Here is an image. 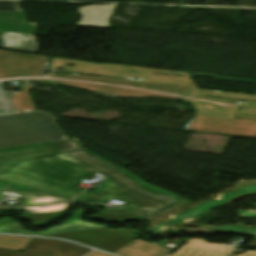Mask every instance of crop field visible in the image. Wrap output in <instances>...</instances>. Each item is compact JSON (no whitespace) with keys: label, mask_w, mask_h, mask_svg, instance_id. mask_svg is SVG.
<instances>
[{"label":"crop field","mask_w":256,"mask_h":256,"mask_svg":"<svg viewBox=\"0 0 256 256\" xmlns=\"http://www.w3.org/2000/svg\"><path fill=\"white\" fill-rule=\"evenodd\" d=\"M92 172L108 178L75 202L106 203L111 199L125 202L122 210L107 211L93 218L125 221L141 216L149 220L186 201L144 183L83 148L16 161L0 171V179L75 197L83 189L73 186Z\"/></svg>","instance_id":"1"},{"label":"crop field","mask_w":256,"mask_h":256,"mask_svg":"<svg viewBox=\"0 0 256 256\" xmlns=\"http://www.w3.org/2000/svg\"><path fill=\"white\" fill-rule=\"evenodd\" d=\"M45 80L57 81L60 84L91 86L87 91L111 96L116 91L144 96L158 94L185 100L192 96L189 90L176 88V82L146 78L142 81L121 78L95 77L59 72H50Z\"/></svg>","instance_id":"2"},{"label":"crop field","mask_w":256,"mask_h":256,"mask_svg":"<svg viewBox=\"0 0 256 256\" xmlns=\"http://www.w3.org/2000/svg\"><path fill=\"white\" fill-rule=\"evenodd\" d=\"M54 121L45 112L0 116V148L67 138Z\"/></svg>","instance_id":"3"},{"label":"crop field","mask_w":256,"mask_h":256,"mask_svg":"<svg viewBox=\"0 0 256 256\" xmlns=\"http://www.w3.org/2000/svg\"><path fill=\"white\" fill-rule=\"evenodd\" d=\"M67 64L76 65L75 67H69ZM57 68H63L58 70ZM49 71H61L97 76H109V77H121V78H132L142 80L146 77L170 80L179 82V88L187 89L184 74L181 71H168V70H157L139 68L127 65L118 64H97L83 62L79 60H70L63 58L51 57L48 65Z\"/></svg>","instance_id":"4"},{"label":"crop field","mask_w":256,"mask_h":256,"mask_svg":"<svg viewBox=\"0 0 256 256\" xmlns=\"http://www.w3.org/2000/svg\"><path fill=\"white\" fill-rule=\"evenodd\" d=\"M47 61L45 56L9 52L7 78H0V114L14 113L4 82L24 81V86H30V82L44 80Z\"/></svg>","instance_id":"5"},{"label":"crop field","mask_w":256,"mask_h":256,"mask_svg":"<svg viewBox=\"0 0 256 256\" xmlns=\"http://www.w3.org/2000/svg\"><path fill=\"white\" fill-rule=\"evenodd\" d=\"M81 145L79 140L75 138L1 149L0 170L19 159L80 148Z\"/></svg>","instance_id":"6"},{"label":"crop field","mask_w":256,"mask_h":256,"mask_svg":"<svg viewBox=\"0 0 256 256\" xmlns=\"http://www.w3.org/2000/svg\"><path fill=\"white\" fill-rule=\"evenodd\" d=\"M87 211L78 210L72 214V217L69 221L64 222L63 224L44 230L42 232H30L23 227L21 223L14 221L10 217H4L0 219V232L1 233H11V234H22V235H32V236H41L49 235L56 233L72 232L79 230L95 229L106 227L104 225H94L83 221Z\"/></svg>","instance_id":"7"},{"label":"crop field","mask_w":256,"mask_h":256,"mask_svg":"<svg viewBox=\"0 0 256 256\" xmlns=\"http://www.w3.org/2000/svg\"><path fill=\"white\" fill-rule=\"evenodd\" d=\"M192 104L197 114L235 118L240 101L193 95L185 100Z\"/></svg>","instance_id":"8"},{"label":"crop field","mask_w":256,"mask_h":256,"mask_svg":"<svg viewBox=\"0 0 256 256\" xmlns=\"http://www.w3.org/2000/svg\"><path fill=\"white\" fill-rule=\"evenodd\" d=\"M191 122L206 124V127L196 126L194 131L197 132L243 136V134L248 130L239 128L242 122L240 119L195 114Z\"/></svg>","instance_id":"9"},{"label":"crop field","mask_w":256,"mask_h":256,"mask_svg":"<svg viewBox=\"0 0 256 256\" xmlns=\"http://www.w3.org/2000/svg\"><path fill=\"white\" fill-rule=\"evenodd\" d=\"M4 189L26 194L23 200L21 201L22 203H24L22 206L60 203L67 202L73 199L72 197L58 195L34 188L24 187L0 180V193H2ZM5 197L7 196L0 194V201L3 200Z\"/></svg>","instance_id":"10"},{"label":"crop field","mask_w":256,"mask_h":256,"mask_svg":"<svg viewBox=\"0 0 256 256\" xmlns=\"http://www.w3.org/2000/svg\"><path fill=\"white\" fill-rule=\"evenodd\" d=\"M227 245L209 244L202 239H190L185 246L179 248L172 256H227L234 248L227 247Z\"/></svg>","instance_id":"11"},{"label":"crop field","mask_w":256,"mask_h":256,"mask_svg":"<svg viewBox=\"0 0 256 256\" xmlns=\"http://www.w3.org/2000/svg\"><path fill=\"white\" fill-rule=\"evenodd\" d=\"M117 5H92L79 8L82 14L77 26H93L100 28H110L109 19Z\"/></svg>","instance_id":"12"},{"label":"crop field","mask_w":256,"mask_h":256,"mask_svg":"<svg viewBox=\"0 0 256 256\" xmlns=\"http://www.w3.org/2000/svg\"><path fill=\"white\" fill-rule=\"evenodd\" d=\"M68 205L69 204H59L53 206L21 208L14 210H25L26 212L21 217L31 220L32 226H38L68 213V211H64Z\"/></svg>","instance_id":"13"},{"label":"crop field","mask_w":256,"mask_h":256,"mask_svg":"<svg viewBox=\"0 0 256 256\" xmlns=\"http://www.w3.org/2000/svg\"><path fill=\"white\" fill-rule=\"evenodd\" d=\"M36 26L27 23L23 12H0V31L33 35Z\"/></svg>","instance_id":"14"},{"label":"crop field","mask_w":256,"mask_h":256,"mask_svg":"<svg viewBox=\"0 0 256 256\" xmlns=\"http://www.w3.org/2000/svg\"><path fill=\"white\" fill-rule=\"evenodd\" d=\"M0 47L35 53L38 49L34 36L0 32Z\"/></svg>","instance_id":"15"},{"label":"crop field","mask_w":256,"mask_h":256,"mask_svg":"<svg viewBox=\"0 0 256 256\" xmlns=\"http://www.w3.org/2000/svg\"><path fill=\"white\" fill-rule=\"evenodd\" d=\"M169 250L138 239L115 254L122 256H162Z\"/></svg>","instance_id":"16"},{"label":"crop field","mask_w":256,"mask_h":256,"mask_svg":"<svg viewBox=\"0 0 256 256\" xmlns=\"http://www.w3.org/2000/svg\"><path fill=\"white\" fill-rule=\"evenodd\" d=\"M31 88L33 87H24V91L10 92L17 112L36 110L28 92Z\"/></svg>","instance_id":"17"},{"label":"crop field","mask_w":256,"mask_h":256,"mask_svg":"<svg viewBox=\"0 0 256 256\" xmlns=\"http://www.w3.org/2000/svg\"><path fill=\"white\" fill-rule=\"evenodd\" d=\"M189 90L193 94H197V95H206V96H214V97H222V98H228V99H237V100H245L249 102H256L255 95H246V94H237V93H228V92L192 89V88H189Z\"/></svg>","instance_id":"18"},{"label":"crop field","mask_w":256,"mask_h":256,"mask_svg":"<svg viewBox=\"0 0 256 256\" xmlns=\"http://www.w3.org/2000/svg\"><path fill=\"white\" fill-rule=\"evenodd\" d=\"M0 11H22L17 1H0Z\"/></svg>","instance_id":"19"},{"label":"crop field","mask_w":256,"mask_h":256,"mask_svg":"<svg viewBox=\"0 0 256 256\" xmlns=\"http://www.w3.org/2000/svg\"><path fill=\"white\" fill-rule=\"evenodd\" d=\"M241 127L250 128L244 136L256 138V121L244 120Z\"/></svg>","instance_id":"20"},{"label":"crop field","mask_w":256,"mask_h":256,"mask_svg":"<svg viewBox=\"0 0 256 256\" xmlns=\"http://www.w3.org/2000/svg\"><path fill=\"white\" fill-rule=\"evenodd\" d=\"M196 76H210L215 79H222V80H234V81H243V82H251V83H256V81H248V80H241V79H235V78H228V77H221V76H215V75H209V74H200V73H195Z\"/></svg>","instance_id":"21"},{"label":"crop field","mask_w":256,"mask_h":256,"mask_svg":"<svg viewBox=\"0 0 256 256\" xmlns=\"http://www.w3.org/2000/svg\"><path fill=\"white\" fill-rule=\"evenodd\" d=\"M238 256H256V250L255 251H246L245 253L238 255Z\"/></svg>","instance_id":"22"},{"label":"crop field","mask_w":256,"mask_h":256,"mask_svg":"<svg viewBox=\"0 0 256 256\" xmlns=\"http://www.w3.org/2000/svg\"><path fill=\"white\" fill-rule=\"evenodd\" d=\"M88 256H109V255L95 251V252L89 254Z\"/></svg>","instance_id":"23"},{"label":"crop field","mask_w":256,"mask_h":256,"mask_svg":"<svg viewBox=\"0 0 256 256\" xmlns=\"http://www.w3.org/2000/svg\"><path fill=\"white\" fill-rule=\"evenodd\" d=\"M195 125L205 126V124L190 123V125H189L188 128H187V130L192 131Z\"/></svg>","instance_id":"24"},{"label":"crop field","mask_w":256,"mask_h":256,"mask_svg":"<svg viewBox=\"0 0 256 256\" xmlns=\"http://www.w3.org/2000/svg\"><path fill=\"white\" fill-rule=\"evenodd\" d=\"M40 82H45V83H55L57 84L56 82H50V81H39V82H36V83H31V86H35L36 84L40 83Z\"/></svg>","instance_id":"25"},{"label":"crop field","mask_w":256,"mask_h":256,"mask_svg":"<svg viewBox=\"0 0 256 256\" xmlns=\"http://www.w3.org/2000/svg\"><path fill=\"white\" fill-rule=\"evenodd\" d=\"M67 86H70V85H67ZM72 87L83 89V90H87L89 88V87H82V86H72Z\"/></svg>","instance_id":"26"},{"label":"crop field","mask_w":256,"mask_h":256,"mask_svg":"<svg viewBox=\"0 0 256 256\" xmlns=\"http://www.w3.org/2000/svg\"><path fill=\"white\" fill-rule=\"evenodd\" d=\"M190 75H191V77H194V76H195L194 73H190Z\"/></svg>","instance_id":"27"}]
</instances>
